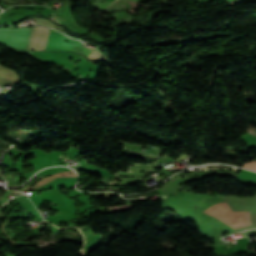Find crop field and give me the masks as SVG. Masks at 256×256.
<instances>
[{"instance_id": "8a807250", "label": "crop field", "mask_w": 256, "mask_h": 256, "mask_svg": "<svg viewBox=\"0 0 256 256\" xmlns=\"http://www.w3.org/2000/svg\"><path fill=\"white\" fill-rule=\"evenodd\" d=\"M203 212L209 215H249L248 210H231L226 201L216 203ZM235 230L249 227V216H215Z\"/></svg>"}, {"instance_id": "ac0d7876", "label": "crop field", "mask_w": 256, "mask_h": 256, "mask_svg": "<svg viewBox=\"0 0 256 256\" xmlns=\"http://www.w3.org/2000/svg\"><path fill=\"white\" fill-rule=\"evenodd\" d=\"M242 167L256 170V162H255V160H253L252 162L244 163Z\"/></svg>"}]
</instances>
